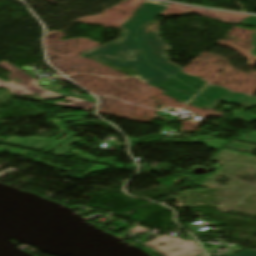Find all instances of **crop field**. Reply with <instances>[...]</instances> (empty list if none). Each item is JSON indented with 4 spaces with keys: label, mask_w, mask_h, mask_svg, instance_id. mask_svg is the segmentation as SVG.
Segmentation results:
<instances>
[{
    "label": "crop field",
    "mask_w": 256,
    "mask_h": 256,
    "mask_svg": "<svg viewBox=\"0 0 256 256\" xmlns=\"http://www.w3.org/2000/svg\"><path fill=\"white\" fill-rule=\"evenodd\" d=\"M231 147L237 148V149L248 150V151L256 150V146H249V145H244L241 143H233Z\"/></svg>",
    "instance_id": "3316defc"
},
{
    "label": "crop field",
    "mask_w": 256,
    "mask_h": 256,
    "mask_svg": "<svg viewBox=\"0 0 256 256\" xmlns=\"http://www.w3.org/2000/svg\"><path fill=\"white\" fill-rule=\"evenodd\" d=\"M160 88L166 91L164 94L170 97H175L176 99H179L185 103L189 99H191L195 94H197L193 89H191L190 87L186 86L185 84L179 82L174 78L169 80Z\"/></svg>",
    "instance_id": "f4fd0767"
},
{
    "label": "crop field",
    "mask_w": 256,
    "mask_h": 256,
    "mask_svg": "<svg viewBox=\"0 0 256 256\" xmlns=\"http://www.w3.org/2000/svg\"><path fill=\"white\" fill-rule=\"evenodd\" d=\"M200 256H205V255L203 254V255H200Z\"/></svg>",
    "instance_id": "cbeb9de0"
},
{
    "label": "crop field",
    "mask_w": 256,
    "mask_h": 256,
    "mask_svg": "<svg viewBox=\"0 0 256 256\" xmlns=\"http://www.w3.org/2000/svg\"><path fill=\"white\" fill-rule=\"evenodd\" d=\"M250 97V95L239 94L231 92L228 97L224 100V102L236 104L242 106L246 100ZM248 101V100H247Z\"/></svg>",
    "instance_id": "d8731c3e"
},
{
    "label": "crop field",
    "mask_w": 256,
    "mask_h": 256,
    "mask_svg": "<svg viewBox=\"0 0 256 256\" xmlns=\"http://www.w3.org/2000/svg\"><path fill=\"white\" fill-rule=\"evenodd\" d=\"M254 45L256 47V32L254 33ZM252 55L256 56V48L252 51Z\"/></svg>",
    "instance_id": "22f410ed"
},
{
    "label": "crop field",
    "mask_w": 256,
    "mask_h": 256,
    "mask_svg": "<svg viewBox=\"0 0 256 256\" xmlns=\"http://www.w3.org/2000/svg\"><path fill=\"white\" fill-rule=\"evenodd\" d=\"M231 91L217 86L208 85L200 93L215 108L226 98Z\"/></svg>",
    "instance_id": "dd49c442"
},
{
    "label": "crop field",
    "mask_w": 256,
    "mask_h": 256,
    "mask_svg": "<svg viewBox=\"0 0 256 256\" xmlns=\"http://www.w3.org/2000/svg\"><path fill=\"white\" fill-rule=\"evenodd\" d=\"M164 244L163 246H159ZM154 251L158 252L162 256H198L201 253V249L193 241H184L180 238H172L167 235L158 237L152 241L143 244Z\"/></svg>",
    "instance_id": "412701ff"
},
{
    "label": "crop field",
    "mask_w": 256,
    "mask_h": 256,
    "mask_svg": "<svg viewBox=\"0 0 256 256\" xmlns=\"http://www.w3.org/2000/svg\"><path fill=\"white\" fill-rule=\"evenodd\" d=\"M194 106L202 107V108H212L206 101H204L199 95L190 102Z\"/></svg>",
    "instance_id": "5a996713"
},
{
    "label": "crop field",
    "mask_w": 256,
    "mask_h": 256,
    "mask_svg": "<svg viewBox=\"0 0 256 256\" xmlns=\"http://www.w3.org/2000/svg\"><path fill=\"white\" fill-rule=\"evenodd\" d=\"M167 6L142 3L130 19L122 25L123 34L118 42L104 44L84 55L105 63L120 67H130L145 77L151 85L160 87L172 77L151 68L145 61L134 41L136 29L143 23L154 18Z\"/></svg>",
    "instance_id": "8a807250"
},
{
    "label": "crop field",
    "mask_w": 256,
    "mask_h": 256,
    "mask_svg": "<svg viewBox=\"0 0 256 256\" xmlns=\"http://www.w3.org/2000/svg\"><path fill=\"white\" fill-rule=\"evenodd\" d=\"M136 38L152 66L172 76L182 70L168 61L165 51L169 46L159 38L157 22L138 29Z\"/></svg>",
    "instance_id": "34b2d1b8"
},
{
    "label": "crop field",
    "mask_w": 256,
    "mask_h": 256,
    "mask_svg": "<svg viewBox=\"0 0 256 256\" xmlns=\"http://www.w3.org/2000/svg\"><path fill=\"white\" fill-rule=\"evenodd\" d=\"M243 24H248V25H254L256 26V17L254 16H250L249 18H247L244 22H242Z\"/></svg>",
    "instance_id": "28ad6ade"
},
{
    "label": "crop field",
    "mask_w": 256,
    "mask_h": 256,
    "mask_svg": "<svg viewBox=\"0 0 256 256\" xmlns=\"http://www.w3.org/2000/svg\"><path fill=\"white\" fill-rule=\"evenodd\" d=\"M0 68L11 73L9 76H7L10 78V83L0 80V87L9 89L10 90L9 92L15 95H38L43 99L58 98V97L65 96L63 94L51 92V91L40 88V85L36 82V80L32 76L24 73L23 71L17 69L16 67L12 66L11 64L5 61L0 63ZM14 78L21 81L20 82L12 81ZM35 92L39 94H34ZM66 100L67 101L72 100V103L71 104H66L62 102H55V103L60 105L85 109V110H90L94 106L92 102H88V101L77 99V98L67 97ZM75 103H78L79 105H76Z\"/></svg>",
    "instance_id": "ac0d7876"
},
{
    "label": "crop field",
    "mask_w": 256,
    "mask_h": 256,
    "mask_svg": "<svg viewBox=\"0 0 256 256\" xmlns=\"http://www.w3.org/2000/svg\"><path fill=\"white\" fill-rule=\"evenodd\" d=\"M232 256H256V252H254V251H245V252L238 253V254H235V255H232Z\"/></svg>",
    "instance_id": "d1516ede"
},
{
    "label": "crop field",
    "mask_w": 256,
    "mask_h": 256,
    "mask_svg": "<svg viewBox=\"0 0 256 256\" xmlns=\"http://www.w3.org/2000/svg\"><path fill=\"white\" fill-rule=\"evenodd\" d=\"M181 80L182 82L186 83L187 85L195 88L198 92L200 89L206 84V82L202 81L201 79L185 74V73H178L176 76H174Z\"/></svg>",
    "instance_id": "e52e79f7"
}]
</instances>
